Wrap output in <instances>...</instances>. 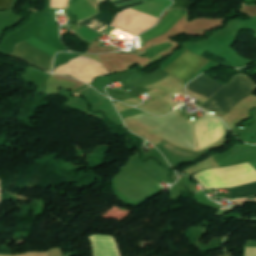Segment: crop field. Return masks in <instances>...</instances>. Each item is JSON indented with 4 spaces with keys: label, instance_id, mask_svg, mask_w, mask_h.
Segmentation results:
<instances>
[{
    "label": "crop field",
    "instance_id": "obj_5",
    "mask_svg": "<svg viewBox=\"0 0 256 256\" xmlns=\"http://www.w3.org/2000/svg\"><path fill=\"white\" fill-rule=\"evenodd\" d=\"M223 86L224 85L204 75H201L198 78H196L194 81L189 83L188 87L187 86L186 87L194 92H197L205 97L210 98Z\"/></svg>",
    "mask_w": 256,
    "mask_h": 256
},
{
    "label": "crop field",
    "instance_id": "obj_12",
    "mask_svg": "<svg viewBox=\"0 0 256 256\" xmlns=\"http://www.w3.org/2000/svg\"><path fill=\"white\" fill-rule=\"evenodd\" d=\"M125 1H129V0H123V1H120V2L112 3V5L122 3V2H125Z\"/></svg>",
    "mask_w": 256,
    "mask_h": 256
},
{
    "label": "crop field",
    "instance_id": "obj_8",
    "mask_svg": "<svg viewBox=\"0 0 256 256\" xmlns=\"http://www.w3.org/2000/svg\"><path fill=\"white\" fill-rule=\"evenodd\" d=\"M171 46H173V45L168 42L156 45L148 51L147 58L151 59L152 57L156 56L159 52H161Z\"/></svg>",
    "mask_w": 256,
    "mask_h": 256
},
{
    "label": "crop field",
    "instance_id": "obj_11",
    "mask_svg": "<svg viewBox=\"0 0 256 256\" xmlns=\"http://www.w3.org/2000/svg\"><path fill=\"white\" fill-rule=\"evenodd\" d=\"M141 3H143V2L141 1V2H137V3L129 4V5L122 6V7H118V8H119V9H121V10H123V9H125V8L132 7V6H135V5L141 4Z\"/></svg>",
    "mask_w": 256,
    "mask_h": 256
},
{
    "label": "crop field",
    "instance_id": "obj_1",
    "mask_svg": "<svg viewBox=\"0 0 256 256\" xmlns=\"http://www.w3.org/2000/svg\"><path fill=\"white\" fill-rule=\"evenodd\" d=\"M254 90H256V85L252 80L239 74L199 107L204 111L228 113L239 101L250 96Z\"/></svg>",
    "mask_w": 256,
    "mask_h": 256
},
{
    "label": "crop field",
    "instance_id": "obj_2",
    "mask_svg": "<svg viewBox=\"0 0 256 256\" xmlns=\"http://www.w3.org/2000/svg\"><path fill=\"white\" fill-rule=\"evenodd\" d=\"M207 63L208 61L186 50L164 70L185 83Z\"/></svg>",
    "mask_w": 256,
    "mask_h": 256
},
{
    "label": "crop field",
    "instance_id": "obj_7",
    "mask_svg": "<svg viewBox=\"0 0 256 256\" xmlns=\"http://www.w3.org/2000/svg\"><path fill=\"white\" fill-rule=\"evenodd\" d=\"M256 195V183L230 189L229 197L243 198Z\"/></svg>",
    "mask_w": 256,
    "mask_h": 256
},
{
    "label": "crop field",
    "instance_id": "obj_3",
    "mask_svg": "<svg viewBox=\"0 0 256 256\" xmlns=\"http://www.w3.org/2000/svg\"><path fill=\"white\" fill-rule=\"evenodd\" d=\"M13 55L43 70L51 72L53 58L35 50L23 42L15 45Z\"/></svg>",
    "mask_w": 256,
    "mask_h": 256
},
{
    "label": "crop field",
    "instance_id": "obj_4",
    "mask_svg": "<svg viewBox=\"0 0 256 256\" xmlns=\"http://www.w3.org/2000/svg\"><path fill=\"white\" fill-rule=\"evenodd\" d=\"M185 12L186 10H173L169 12V14L164 17L157 27H154L153 29L139 35L140 43L143 44L171 29Z\"/></svg>",
    "mask_w": 256,
    "mask_h": 256
},
{
    "label": "crop field",
    "instance_id": "obj_9",
    "mask_svg": "<svg viewBox=\"0 0 256 256\" xmlns=\"http://www.w3.org/2000/svg\"><path fill=\"white\" fill-rule=\"evenodd\" d=\"M175 4L170 8H186L189 9V7L192 5V2L189 0H174Z\"/></svg>",
    "mask_w": 256,
    "mask_h": 256
},
{
    "label": "crop field",
    "instance_id": "obj_10",
    "mask_svg": "<svg viewBox=\"0 0 256 256\" xmlns=\"http://www.w3.org/2000/svg\"><path fill=\"white\" fill-rule=\"evenodd\" d=\"M13 0H0V10H9Z\"/></svg>",
    "mask_w": 256,
    "mask_h": 256
},
{
    "label": "crop field",
    "instance_id": "obj_6",
    "mask_svg": "<svg viewBox=\"0 0 256 256\" xmlns=\"http://www.w3.org/2000/svg\"><path fill=\"white\" fill-rule=\"evenodd\" d=\"M113 18H114L113 15H109V14L100 12L99 14H97L81 23H78V24H80L82 26L84 25V26L101 34L112 23Z\"/></svg>",
    "mask_w": 256,
    "mask_h": 256
}]
</instances>
